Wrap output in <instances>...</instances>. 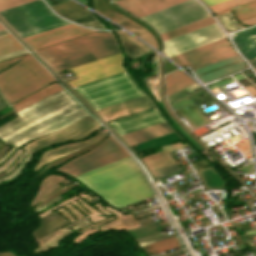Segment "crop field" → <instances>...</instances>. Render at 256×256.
<instances>
[{
  "label": "crop field",
  "mask_w": 256,
  "mask_h": 256,
  "mask_svg": "<svg viewBox=\"0 0 256 256\" xmlns=\"http://www.w3.org/2000/svg\"><path fill=\"white\" fill-rule=\"evenodd\" d=\"M75 177L119 208L153 196L130 156Z\"/></svg>",
  "instance_id": "crop-field-1"
},
{
  "label": "crop field",
  "mask_w": 256,
  "mask_h": 256,
  "mask_svg": "<svg viewBox=\"0 0 256 256\" xmlns=\"http://www.w3.org/2000/svg\"><path fill=\"white\" fill-rule=\"evenodd\" d=\"M37 52L57 71L119 53L111 34L94 33Z\"/></svg>",
  "instance_id": "crop-field-2"
},
{
  "label": "crop field",
  "mask_w": 256,
  "mask_h": 256,
  "mask_svg": "<svg viewBox=\"0 0 256 256\" xmlns=\"http://www.w3.org/2000/svg\"><path fill=\"white\" fill-rule=\"evenodd\" d=\"M22 57L23 60L0 73V88L10 104L56 81L31 54ZM18 58L0 62V70Z\"/></svg>",
  "instance_id": "crop-field-3"
},
{
  "label": "crop field",
  "mask_w": 256,
  "mask_h": 256,
  "mask_svg": "<svg viewBox=\"0 0 256 256\" xmlns=\"http://www.w3.org/2000/svg\"><path fill=\"white\" fill-rule=\"evenodd\" d=\"M0 15L23 38L71 24L54 15L41 0L2 11Z\"/></svg>",
  "instance_id": "crop-field-4"
},
{
  "label": "crop field",
  "mask_w": 256,
  "mask_h": 256,
  "mask_svg": "<svg viewBox=\"0 0 256 256\" xmlns=\"http://www.w3.org/2000/svg\"><path fill=\"white\" fill-rule=\"evenodd\" d=\"M75 89L95 110L144 95L126 72L78 86Z\"/></svg>",
  "instance_id": "crop-field-5"
},
{
  "label": "crop field",
  "mask_w": 256,
  "mask_h": 256,
  "mask_svg": "<svg viewBox=\"0 0 256 256\" xmlns=\"http://www.w3.org/2000/svg\"><path fill=\"white\" fill-rule=\"evenodd\" d=\"M75 104L62 89L17 112L20 118L0 127V139L4 141Z\"/></svg>",
  "instance_id": "crop-field-6"
},
{
  "label": "crop field",
  "mask_w": 256,
  "mask_h": 256,
  "mask_svg": "<svg viewBox=\"0 0 256 256\" xmlns=\"http://www.w3.org/2000/svg\"><path fill=\"white\" fill-rule=\"evenodd\" d=\"M207 17H210L207 10L196 0H190L141 19L150 23L161 34Z\"/></svg>",
  "instance_id": "crop-field-7"
},
{
  "label": "crop field",
  "mask_w": 256,
  "mask_h": 256,
  "mask_svg": "<svg viewBox=\"0 0 256 256\" xmlns=\"http://www.w3.org/2000/svg\"><path fill=\"white\" fill-rule=\"evenodd\" d=\"M126 156H129V154L110 136L94 150L56 170L74 176Z\"/></svg>",
  "instance_id": "crop-field-8"
},
{
  "label": "crop field",
  "mask_w": 256,
  "mask_h": 256,
  "mask_svg": "<svg viewBox=\"0 0 256 256\" xmlns=\"http://www.w3.org/2000/svg\"><path fill=\"white\" fill-rule=\"evenodd\" d=\"M236 55L227 37L175 55L172 58L180 66L189 64L192 70Z\"/></svg>",
  "instance_id": "crop-field-9"
},
{
  "label": "crop field",
  "mask_w": 256,
  "mask_h": 256,
  "mask_svg": "<svg viewBox=\"0 0 256 256\" xmlns=\"http://www.w3.org/2000/svg\"><path fill=\"white\" fill-rule=\"evenodd\" d=\"M98 126L99 124L88 115L49 136L30 142L23 149L35 153L42 148L67 140L84 138L97 131Z\"/></svg>",
  "instance_id": "crop-field-10"
},
{
  "label": "crop field",
  "mask_w": 256,
  "mask_h": 256,
  "mask_svg": "<svg viewBox=\"0 0 256 256\" xmlns=\"http://www.w3.org/2000/svg\"><path fill=\"white\" fill-rule=\"evenodd\" d=\"M225 37L216 23L164 41L165 55L170 57Z\"/></svg>",
  "instance_id": "crop-field-11"
},
{
  "label": "crop field",
  "mask_w": 256,
  "mask_h": 256,
  "mask_svg": "<svg viewBox=\"0 0 256 256\" xmlns=\"http://www.w3.org/2000/svg\"><path fill=\"white\" fill-rule=\"evenodd\" d=\"M119 63V64H117ZM122 55L116 54L81 66L71 68L78 79L69 81L75 87L117 73L124 72L121 68Z\"/></svg>",
  "instance_id": "crop-field-12"
},
{
  "label": "crop field",
  "mask_w": 256,
  "mask_h": 256,
  "mask_svg": "<svg viewBox=\"0 0 256 256\" xmlns=\"http://www.w3.org/2000/svg\"><path fill=\"white\" fill-rule=\"evenodd\" d=\"M95 32L77 25L71 24L45 33H41L32 37L25 38V40L34 48H40L53 43L78 37L84 34Z\"/></svg>",
  "instance_id": "crop-field-13"
},
{
  "label": "crop field",
  "mask_w": 256,
  "mask_h": 256,
  "mask_svg": "<svg viewBox=\"0 0 256 256\" xmlns=\"http://www.w3.org/2000/svg\"><path fill=\"white\" fill-rule=\"evenodd\" d=\"M164 122L156 108L135 114L129 118L110 122L115 131L121 135L147 126Z\"/></svg>",
  "instance_id": "crop-field-14"
},
{
  "label": "crop field",
  "mask_w": 256,
  "mask_h": 256,
  "mask_svg": "<svg viewBox=\"0 0 256 256\" xmlns=\"http://www.w3.org/2000/svg\"><path fill=\"white\" fill-rule=\"evenodd\" d=\"M151 107H154L153 103L149 100V98L146 95H144L110 107L97 110L96 112L100 116H102L106 121H108Z\"/></svg>",
  "instance_id": "crop-field-15"
},
{
  "label": "crop field",
  "mask_w": 256,
  "mask_h": 256,
  "mask_svg": "<svg viewBox=\"0 0 256 256\" xmlns=\"http://www.w3.org/2000/svg\"><path fill=\"white\" fill-rule=\"evenodd\" d=\"M185 1L187 0H122L117 4L142 17Z\"/></svg>",
  "instance_id": "crop-field-16"
},
{
  "label": "crop field",
  "mask_w": 256,
  "mask_h": 256,
  "mask_svg": "<svg viewBox=\"0 0 256 256\" xmlns=\"http://www.w3.org/2000/svg\"><path fill=\"white\" fill-rule=\"evenodd\" d=\"M105 135V133H103L102 131H100L95 137L87 140V141H82V142H75V143H69V144H65V145H61V146H58L54 149H51V150H48L44 153H42V155L40 156L37 164L34 166L33 170L35 171H39L40 168L56 159V158H59L61 156H64V155H67L69 153H72L76 150H80L92 143H95L96 141H98L101 137H103Z\"/></svg>",
  "instance_id": "crop-field-17"
},
{
  "label": "crop field",
  "mask_w": 256,
  "mask_h": 256,
  "mask_svg": "<svg viewBox=\"0 0 256 256\" xmlns=\"http://www.w3.org/2000/svg\"><path fill=\"white\" fill-rule=\"evenodd\" d=\"M170 132H173V130L166 122H164L138 131L121 135V137L129 146H131Z\"/></svg>",
  "instance_id": "crop-field-18"
},
{
  "label": "crop field",
  "mask_w": 256,
  "mask_h": 256,
  "mask_svg": "<svg viewBox=\"0 0 256 256\" xmlns=\"http://www.w3.org/2000/svg\"><path fill=\"white\" fill-rule=\"evenodd\" d=\"M232 38L247 59L256 56V27L232 34Z\"/></svg>",
  "instance_id": "crop-field-19"
},
{
  "label": "crop field",
  "mask_w": 256,
  "mask_h": 256,
  "mask_svg": "<svg viewBox=\"0 0 256 256\" xmlns=\"http://www.w3.org/2000/svg\"><path fill=\"white\" fill-rule=\"evenodd\" d=\"M86 115L88 114L81 108L13 145H16L19 147L20 145L24 144L25 142H27L28 140L34 137L51 134Z\"/></svg>",
  "instance_id": "crop-field-20"
},
{
  "label": "crop field",
  "mask_w": 256,
  "mask_h": 256,
  "mask_svg": "<svg viewBox=\"0 0 256 256\" xmlns=\"http://www.w3.org/2000/svg\"><path fill=\"white\" fill-rule=\"evenodd\" d=\"M126 56L132 60L151 50L132 36L116 31Z\"/></svg>",
  "instance_id": "crop-field-21"
},
{
  "label": "crop field",
  "mask_w": 256,
  "mask_h": 256,
  "mask_svg": "<svg viewBox=\"0 0 256 256\" xmlns=\"http://www.w3.org/2000/svg\"><path fill=\"white\" fill-rule=\"evenodd\" d=\"M62 89L56 82L50 84L49 86L31 94L30 96L12 104V107L15 109V111H19L37 101L40 99Z\"/></svg>",
  "instance_id": "crop-field-22"
},
{
  "label": "crop field",
  "mask_w": 256,
  "mask_h": 256,
  "mask_svg": "<svg viewBox=\"0 0 256 256\" xmlns=\"http://www.w3.org/2000/svg\"><path fill=\"white\" fill-rule=\"evenodd\" d=\"M193 83L195 82L192 79H190L180 71H175L173 73L167 74L166 75L167 96Z\"/></svg>",
  "instance_id": "crop-field-23"
},
{
  "label": "crop field",
  "mask_w": 256,
  "mask_h": 256,
  "mask_svg": "<svg viewBox=\"0 0 256 256\" xmlns=\"http://www.w3.org/2000/svg\"><path fill=\"white\" fill-rule=\"evenodd\" d=\"M112 21H114L115 23L119 24L120 26L128 29L129 31L135 33L136 35H138L139 37H141L142 39L147 41L149 44L154 46L156 49H158L155 38L146 29L137 25L133 21L127 19L126 17H124L122 15Z\"/></svg>",
  "instance_id": "crop-field-24"
},
{
  "label": "crop field",
  "mask_w": 256,
  "mask_h": 256,
  "mask_svg": "<svg viewBox=\"0 0 256 256\" xmlns=\"http://www.w3.org/2000/svg\"><path fill=\"white\" fill-rule=\"evenodd\" d=\"M52 8L59 14L66 16L68 19L73 20L80 17H84L87 15H91L92 13L83 9L76 3L69 1L66 3H62L56 6H52Z\"/></svg>",
  "instance_id": "crop-field-25"
},
{
  "label": "crop field",
  "mask_w": 256,
  "mask_h": 256,
  "mask_svg": "<svg viewBox=\"0 0 256 256\" xmlns=\"http://www.w3.org/2000/svg\"><path fill=\"white\" fill-rule=\"evenodd\" d=\"M184 147H188V145L185 144L167 151H163V152L142 158V160L145 162V164L150 170L159 168V167L174 163V160L172 159V157L168 152L174 151L180 148H184Z\"/></svg>",
  "instance_id": "crop-field-26"
},
{
  "label": "crop field",
  "mask_w": 256,
  "mask_h": 256,
  "mask_svg": "<svg viewBox=\"0 0 256 256\" xmlns=\"http://www.w3.org/2000/svg\"><path fill=\"white\" fill-rule=\"evenodd\" d=\"M79 108H81V107L77 104V105H75V106H73V107H71V108H69V109H67V110H65V111H63V112H61V113H59V114H57V115H55V116L45 120L43 122H41L40 124H38V125L30 128V129L22 132V133H20V134H18L16 136H14V137L4 141V142H6V143L11 145L12 143H14V142H16V141H18V140L28 136L29 134H31V133H33V132H35V131L43 128V127H45L46 125H48V124H50V123H52V122H54V121L64 117L65 115H67V114H69V113H71V112H73V111H75V110H77Z\"/></svg>",
  "instance_id": "crop-field-27"
},
{
  "label": "crop field",
  "mask_w": 256,
  "mask_h": 256,
  "mask_svg": "<svg viewBox=\"0 0 256 256\" xmlns=\"http://www.w3.org/2000/svg\"><path fill=\"white\" fill-rule=\"evenodd\" d=\"M85 199L86 202L91 203L89 200L92 199L89 195L83 197ZM79 204L81 206H83L84 208H86L88 211H90L91 213L96 211L94 209H92L90 206H88L86 203H84L80 198L77 199ZM72 204H74L76 207H78L82 212H84L86 215L88 214L84 209H82L75 201L72 202ZM96 206L98 209L103 208L99 203L94 205ZM65 207H67L69 209V211L77 218H81L83 217V215H81L79 212H77L70 204L65 205ZM57 211H59L64 217H66L67 219L74 221V219L70 216V214L63 210L62 208L58 209Z\"/></svg>",
  "instance_id": "crop-field-28"
},
{
  "label": "crop field",
  "mask_w": 256,
  "mask_h": 256,
  "mask_svg": "<svg viewBox=\"0 0 256 256\" xmlns=\"http://www.w3.org/2000/svg\"><path fill=\"white\" fill-rule=\"evenodd\" d=\"M214 22H215V21L213 20V18L210 17V18L204 19V20H202V21H199V22H196V23L187 25V26H185V27H182V28H179V29L170 31V32H168V33L162 34L161 37H162V39H163V41H164V40H167V39H169V38H172V37L181 35V34H183V33H186V32L192 31V30H195V29H197V28H200V27L209 25V24L214 23Z\"/></svg>",
  "instance_id": "crop-field-29"
},
{
  "label": "crop field",
  "mask_w": 256,
  "mask_h": 256,
  "mask_svg": "<svg viewBox=\"0 0 256 256\" xmlns=\"http://www.w3.org/2000/svg\"><path fill=\"white\" fill-rule=\"evenodd\" d=\"M67 224H68V222L65 219L59 217L41 227H39L36 231H34L33 236H34V238L38 239V238L45 236V235L65 226Z\"/></svg>",
  "instance_id": "crop-field-30"
},
{
  "label": "crop field",
  "mask_w": 256,
  "mask_h": 256,
  "mask_svg": "<svg viewBox=\"0 0 256 256\" xmlns=\"http://www.w3.org/2000/svg\"><path fill=\"white\" fill-rule=\"evenodd\" d=\"M233 9H235L234 13L236 14L237 18L240 21L256 16V2H252V3L246 4V5H242V6L233 8ZM233 9H229V10H226V11H223V12L216 13V15L231 11Z\"/></svg>",
  "instance_id": "crop-field-31"
},
{
  "label": "crop field",
  "mask_w": 256,
  "mask_h": 256,
  "mask_svg": "<svg viewBox=\"0 0 256 256\" xmlns=\"http://www.w3.org/2000/svg\"><path fill=\"white\" fill-rule=\"evenodd\" d=\"M24 49V47L11 35L0 37V55Z\"/></svg>",
  "instance_id": "crop-field-32"
},
{
  "label": "crop field",
  "mask_w": 256,
  "mask_h": 256,
  "mask_svg": "<svg viewBox=\"0 0 256 256\" xmlns=\"http://www.w3.org/2000/svg\"><path fill=\"white\" fill-rule=\"evenodd\" d=\"M218 18L229 32L243 28L236 23L231 12L219 15Z\"/></svg>",
  "instance_id": "crop-field-33"
},
{
  "label": "crop field",
  "mask_w": 256,
  "mask_h": 256,
  "mask_svg": "<svg viewBox=\"0 0 256 256\" xmlns=\"http://www.w3.org/2000/svg\"><path fill=\"white\" fill-rule=\"evenodd\" d=\"M177 163L152 171L157 179L179 170Z\"/></svg>",
  "instance_id": "crop-field-34"
},
{
  "label": "crop field",
  "mask_w": 256,
  "mask_h": 256,
  "mask_svg": "<svg viewBox=\"0 0 256 256\" xmlns=\"http://www.w3.org/2000/svg\"><path fill=\"white\" fill-rule=\"evenodd\" d=\"M33 0H0V11L21 5Z\"/></svg>",
  "instance_id": "crop-field-35"
},
{
  "label": "crop field",
  "mask_w": 256,
  "mask_h": 256,
  "mask_svg": "<svg viewBox=\"0 0 256 256\" xmlns=\"http://www.w3.org/2000/svg\"><path fill=\"white\" fill-rule=\"evenodd\" d=\"M240 78H243V76H242L241 74H237V75H235V76H232V77L223 79V80H221V81L215 82V83H213V84L207 85V87H209L210 89H212V88L218 87V86H220V85H223V84H226V83L235 81V80L240 79Z\"/></svg>",
  "instance_id": "crop-field-36"
},
{
  "label": "crop field",
  "mask_w": 256,
  "mask_h": 256,
  "mask_svg": "<svg viewBox=\"0 0 256 256\" xmlns=\"http://www.w3.org/2000/svg\"><path fill=\"white\" fill-rule=\"evenodd\" d=\"M73 21H76V22H78L80 24L87 25V26H92V25L100 24V22H98L93 17V15L87 16V17H84V18H80V19H77V20H73Z\"/></svg>",
  "instance_id": "crop-field-37"
},
{
  "label": "crop field",
  "mask_w": 256,
  "mask_h": 256,
  "mask_svg": "<svg viewBox=\"0 0 256 256\" xmlns=\"http://www.w3.org/2000/svg\"><path fill=\"white\" fill-rule=\"evenodd\" d=\"M70 232H71V231L68 230V231H66V232H64V233H62V234H60V235H58V236H56V237H57V239H59V238L65 236V235H67V234L70 233ZM46 244L48 245L49 248H51V247L56 246V241H55V239L53 238V239L49 240L48 242H46ZM40 248H41V249H44L45 247H44V245L42 244V245L40 246Z\"/></svg>",
  "instance_id": "crop-field-38"
},
{
  "label": "crop field",
  "mask_w": 256,
  "mask_h": 256,
  "mask_svg": "<svg viewBox=\"0 0 256 256\" xmlns=\"http://www.w3.org/2000/svg\"><path fill=\"white\" fill-rule=\"evenodd\" d=\"M175 236H176L175 233L169 234V235H166V236H163V237H159V238H156V239H153V240H149V241H146V242H143V243H139V246L144 245V244H148V243H151V242H155V241L175 237Z\"/></svg>",
  "instance_id": "crop-field-39"
},
{
  "label": "crop field",
  "mask_w": 256,
  "mask_h": 256,
  "mask_svg": "<svg viewBox=\"0 0 256 256\" xmlns=\"http://www.w3.org/2000/svg\"><path fill=\"white\" fill-rule=\"evenodd\" d=\"M25 51H26V49H24V50H20V51H16V52H13V53H9V54H5V55L0 56V59H2V58H6V57H10V56H13V55H16V54H19V53L25 52Z\"/></svg>",
  "instance_id": "crop-field-40"
},
{
  "label": "crop field",
  "mask_w": 256,
  "mask_h": 256,
  "mask_svg": "<svg viewBox=\"0 0 256 256\" xmlns=\"http://www.w3.org/2000/svg\"><path fill=\"white\" fill-rule=\"evenodd\" d=\"M242 23L247 24L249 26L254 25V24H256V17L252 18V19H249V20L242 21Z\"/></svg>",
  "instance_id": "crop-field-41"
},
{
  "label": "crop field",
  "mask_w": 256,
  "mask_h": 256,
  "mask_svg": "<svg viewBox=\"0 0 256 256\" xmlns=\"http://www.w3.org/2000/svg\"><path fill=\"white\" fill-rule=\"evenodd\" d=\"M50 6L55 5V4H59L65 1H69V0H46Z\"/></svg>",
  "instance_id": "crop-field-42"
},
{
  "label": "crop field",
  "mask_w": 256,
  "mask_h": 256,
  "mask_svg": "<svg viewBox=\"0 0 256 256\" xmlns=\"http://www.w3.org/2000/svg\"><path fill=\"white\" fill-rule=\"evenodd\" d=\"M59 199H61L59 196L56 197V198H54V199H52V200L49 201L47 204H45V205H43L42 207L38 208V209H37V212L40 211L41 209L45 208V207L48 206L49 204H51V203H53V202L59 200ZM49 206H50V205H49Z\"/></svg>",
  "instance_id": "crop-field-43"
},
{
  "label": "crop field",
  "mask_w": 256,
  "mask_h": 256,
  "mask_svg": "<svg viewBox=\"0 0 256 256\" xmlns=\"http://www.w3.org/2000/svg\"><path fill=\"white\" fill-rule=\"evenodd\" d=\"M87 218H88V217H83V218H81V219H79L78 221H76V222H74V223L68 225L67 227H65V228H63V229L66 230V229H68V228L74 226V225L77 224V223H80V222H83V221L87 220Z\"/></svg>",
  "instance_id": "crop-field-44"
},
{
  "label": "crop field",
  "mask_w": 256,
  "mask_h": 256,
  "mask_svg": "<svg viewBox=\"0 0 256 256\" xmlns=\"http://www.w3.org/2000/svg\"><path fill=\"white\" fill-rule=\"evenodd\" d=\"M6 104H8V103L0 92V107L4 106Z\"/></svg>",
  "instance_id": "crop-field-45"
},
{
  "label": "crop field",
  "mask_w": 256,
  "mask_h": 256,
  "mask_svg": "<svg viewBox=\"0 0 256 256\" xmlns=\"http://www.w3.org/2000/svg\"><path fill=\"white\" fill-rule=\"evenodd\" d=\"M203 1L206 2L208 5H210V4H214V3L224 1V0H203Z\"/></svg>",
  "instance_id": "crop-field-46"
},
{
  "label": "crop field",
  "mask_w": 256,
  "mask_h": 256,
  "mask_svg": "<svg viewBox=\"0 0 256 256\" xmlns=\"http://www.w3.org/2000/svg\"><path fill=\"white\" fill-rule=\"evenodd\" d=\"M112 219H114V218H113V217H110V218H108V219H106V220H101V221H99V222L96 223V224H97V226H99V225H101V224H103V223H105V222H107V221L112 220Z\"/></svg>",
  "instance_id": "crop-field-47"
},
{
  "label": "crop field",
  "mask_w": 256,
  "mask_h": 256,
  "mask_svg": "<svg viewBox=\"0 0 256 256\" xmlns=\"http://www.w3.org/2000/svg\"><path fill=\"white\" fill-rule=\"evenodd\" d=\"M248 61L252 64L253 67L256 66V57L252 58V59H249Z\"/></svg>",
  "instance_id": "crop-field-48"
},
{
  "label": "crop field",
  "mask_w": 256,
  "mask_h": 256,
  "mask_svg": "<svg viewBox=\"0 0 256 256\" xmlns=\"http://www.w3.org/2000/svg\"><path fill=\"white\" fill-rule=\"evenodd\" d=\"M88 224H89L88 222H84V223L80 224L79 226H77V227H75L73 229L77 230V229L82 228V227H84V226H86Z\"/></svg>",
  "instance_id": "crop-field-49"
},
{
  "label": "crop field",
  "mask_w": 256,
  "mask_h": 256,
  "mask_svg": "<svg viewBox=\"0 0 256 256\" xmlns=\"http://www.w3.org/2000/svg\"><path fill=\"white\" fill-rule=\"evenodd\" d=\"M8 149V147H4L0 150V157L3 155V153Z\"/></svg>",
  "instance_id": "crop-field-50"
},
{
  "label": "crop field",
  "mask_w": 256,
  "mask_h": 256,
  "mask_svg": "<svg viewBox=\"0 0 256 256\" xmlns=\"http://www.w3.org/2000/svg\"><path fill=\"white\" fill-rule=\"evenodd\" d=\"M0 256H15V255H13L11 253H2V254H0Z\"/></svg>",
  "instance_id": "crop-field-51"
},
{
  "label": "crop field",
  "mask_w": 256,
  "mask_h": 256,
  "mask_svg": "<svg viewBox=\"0 0 256 256\" xmlns=\"http://www.w3.org/2000/svg\"><path fill=\"white\" fill-rule=\"evenodd\" d=\"M5 34H9V32H7L6 30L0 31V36H1V35H5Z\"/></svg>",
  "instance_id": "crop-field-52"
},
{
  "label": "crop field",
  "mask_w": 256,
  "mask_h": 256,
  "mask_svg": "<svg viewBox=\"0 0 256 256\" xmlns=\"http://www.w3.org/2000/svg\"><path fill=\"white\" fill-rule=\"evenodd\" d=\"M78 1H80V2H82V3H86V1H85V0H78Z\"/></svg>",
  "instance_id": "crop-field-53"
},
{
  "label": "crop field",
  "mask_w": 256,
  "mask_h": 256,
  "mask_svg": "<svg viewBox=\"0 0 256 256\" xmlns=\"http://www.w3.org/2000/svg\"><path fill=\"white\" fill-rule=\"evenodd\" d=\"M5 28L3 26L0 25V30H4Z\"/></svg>",
  "instance_id": "crop-field-54"
},
{
  "label": "crop field",
  "mask_w": 256,
  "mask_h": 256,
  "mask_svg": "<svg viewBox=\"0 0 256 256\" xmlns=\"http://www.w3.org/2000/svg\"><path fill=\"white\" fill-rule=\"evenodd\" d=\"M4 173L0 174V176H2Z\"/></svg>",
  "instance_id": "crop-field-55"
},
{
  "label": "crop field",
  "mask_w": 256,
  "mask_h": 256,
  "mask_svg": "<svg viewBox=\"0 0 256 256\" xmlns=\"http://www.w3.org/2000/svg\"><path fill=\"white\" fill-rule=\"evenodd\" d=\"M255 72H256V70H255Z\"/></svg>",
  "instance_id": "crop-field-56"
}]
</instances>
